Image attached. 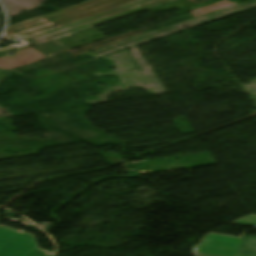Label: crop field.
I'll return each mask as SVG.
<instances>
[{
    "label": "crop field",
    "mask_w": 256,
    "mask_h": 256,
    "mask_svg": "<svg viewBox=\"0 0 256 256\" xmlns=\"http://www.w3.org/2000/svg\"><path fill=\"white\" fill-rule=\"evenodd\" d=\"M171 1H174V0H158V1H155V2H152L149 4H146V5H143L140 7H136V8H133V9L100 19V20H96V21H93V22L60 32V33H56V34H53V35H50V36H47V37H44L41 39H43L45 41L54 40V39L60 38L65 35H68V34H71V33H74V32H77V31H80V30H83V29H86V28H89V27H92L95 25H99V24H102V23H105V22H108V21H111V20H114L117 18H121V17L127 16V15H130V14H133V13L139 12V11H143V10H146V9H149V8L161 5V4H165V3H168Z\"/></svg>",
    "instance_id": "obj_3"
},
{
    "label": "crop field",
    "mask_w": 256,
    "mask_h": 256,
    "mask_svg": "<svg viewBox=\"0 0 256 256\" xmlns=\"http://www.w3.org/2000/svg\"><path fill=\"white\" fill-rule=\"evenodd\" d=\"M238 256H256V237H243Z\"/></svg>",
    "instance_id": "obj_4"
},
{
    "label": "crop field",
    "mask_w": 256,
    "mask_h": 256,
    "mask_svg": "<svg viewBox=\"0 0 256 256\" xmlns=\"http://www.w3.org/2000/svg\"><path fill=\"white\" fill-rule=\"evenodd\" d=\"M152 1L155 0H92L9 27L4 38H41Z\"/></svg>",
    "instance_id": "obj_1"
},
{
    "label": "crop field",
    "mask_w": 256,
    "mask_h": 256,
    "mask_svg": "<svg viewBox=\"0 0 256 256\" xmlns=\"http://www.w3.org/2000/svg\"><path fill=\"white\" fill-rule=\"evenodd\" d=\"M36 251L31 235L0 225V256H32ZM36 253L34 256H48Z\"/></svg>",
    "instance_id": "obj_2"
}]
</instances>
